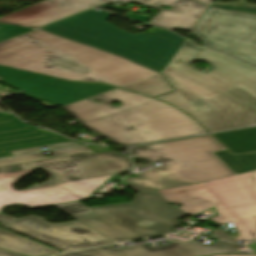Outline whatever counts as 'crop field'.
Wrapping results in <instances>:
<instances>
[{"instance_id":"obj_1","label":"crop field","mask_w":256,"mask_h":256,"mask_svg":"<svg viewBox=\"0 0 256 256\" xmlns=\"http://www.w3.org/2000/svg\"><path fill=\"white\" fill-rule=\"evenodd\" d=\"M0 65L118 87L159 74L40 30L0 42Z\"/></svg>"},{"instance_id":"obj_2","label":"crop field","mask_w":256,"mask_h":256,"mask_svg":"<svg viewBox=\"0 0 256 256\" xmlns=\"http://www.w3.org/2000/svg\"><path fill=\"white\" fill-rule=\"evenodd\" d=\"M113 101L120 106L113 107ZM63 108L83 127L122 146L206 133L179 110L119 89Z\"/></svg>"},{"instance_id":"obj_3","label":"crop field","mask_w":256,"mask_h":256,"mask_svg":"<svg viewBox=\"0 0 256 256\" xmlns=\"http://www.w3.org/2000/svg\"><path fill=\"white\" fill-rule=\"evenodd\" d=\"M39 167L51 176L48 181L22 191L13 189L17 181ZM131 169L130 158L118 156L116 152L83 153L3 166L0 167V210L14 203L36 207L84 199L113 175Z\"/></svg>"},{"instance_id":"obj_4","label":"crop field","mask_w":256,"mask_h":256,"mask_svg":"<svg viewBox=\"0 0 256 256\" xmlns=\"http://www.w3.org/2000/svg\"><path fill=\"white\" fill-rule=\"evenodd\" d=\"M219 150L225 149L210 135L134 147V157L164 164L124 181L136 192H145L235 175L212 154Z\"/></svg>"},{"instance_id":"obj_5","label":"crop field","mask_w":256,"mask_h":256,"mask_svg":"<svg viewBox=\"0 0 256 256\" xmlns=\"http://www.w3.org/2000/svg\"><path fill=\"white\" fill-rule=\"evenodd\" d=\"M109 15L106 11L90 10L41 30L125 57L160 73L185 40L163 29L150 34H129L106 22Z\"/></svg>"},{"instance_id":"obj_6","label":"crop field","mask_w":256,"mask_h":256,"mask_svg":"<svg viewBox=\"0 0 256 256\" xmlns=\"http://www.w3.org/2000/svg\"><path fill=\"white\" fill-rule=\"evenodd\" d=\"M55 207L115 242L171 233L180 224L177 219L187 215L157 191L138 193L132 203L88 208L74 202Z\"/></svg>"},{"instance_id":"obj_7","label":"crop field","mask_w":256,"mask_h":256,"mask_svg":"<svg viewBox=\"0 0 256 256\" xmlns=\"http://www.w3.org/2000/svg\"><path fill=\"white\" fill-rule=\"evenodd\" d=\"M162 74L176 90L156 99L190 114L209 132L256 124V110L168 66Z\"/></svg>"},{"instance_id":"obj_8","label":"crop field","mask_w":256,"mask_h":256,"mask_svg":"<svg viewBox=\"0 0 256 256\" xmlns=\"http://www.w3.org/2000/svg\"><path fill=\"white\" fill-rule=\"evenodd\" d=\"M209 67L200 72L191 64ZM168 66L256 109V67L185 40Z\"/></svg>"},{"instance_id":"obj_9","label":"crop field","mask_w":256,"mask_h":256,"mask_svg":"<svg viewBox=\"0 0 256 256\" xmlns=\"http://www.w3.org/2000/svg\"><path fill=\"white\" fill-rule=\"evenodd\" d=\"M204 44L256 65V16L208 8L191 32Z\"/></svg>"},{"instance_id":"obj_10","label":"crop field","mask_w":256,"mask_h":256,"mask_svg":"<svg viewBox=\"0 0 256 256\" xmlns=\"http://www.w3.org/2000/svg\"><path fill=\"white\" fill-rule=\"evenodd\" d=\"M0 223V226L5 229L61 251L113 243L77 221L50 224L35 215L17 219L0 214Z\"/></svg>"},{"instance_id":"obj_11","label":"crop field","mask_w":256,"mask_h":256,"mask_svg":"<svg viewBox=\"0 0 256 256\" xmlns=\"http://www.w3.org/2000/svg\"><path fill=\"white\" fill-rule=\"evenodd\" d=\"M117 245V244H115ZM114 245L68 253L58 256H205L214 253H238L232 242L214 241L210 245L195 241L184 243L174 240L167 246H149L142 244L120 250L112 249Z\"/></svg>"},{"instance_id":"obj_12","label":"crop field","mask_w":256,"mask_h":256,"mask_svg":"<svg viewBox=\"0 0 256 256\" xmlns=\"http://www.w3.org/2000/svg\"><path fill=\"white\" fill-rule=\"evenodd\" d=\"M99 4L89 0H46L0 18V22L39 28Z\"/></svg>"},{"instance_id":"obj_13","label":"crop field","mask_w":256,"mask_h":256,"mask_svg":"<svg viewBox=\"0 0 256 256\" xmlns=\"http://www.w3.org/2000/svg\"><path fill=\"white\" fill-rule=\"evenodd\" d=\"M203 185L217 211L256 204V171Z\"/></svg>"},{"instance_id":"obj_14","label":"crop field","mask_w":256,"mask_h":256,"mask_svg":"<svg viewBox=\"0 0 256 256\" xmlns=\"http://www.w3.org/2000/svg\"><path fill=\"white\" fill-rule=\"evenodd\" d=\"M144 6L159 8L161 5H170L171 10L162 9L148 24L160 26L170 31L182 29L192 31L204 14L207 6L191 0H130ZM209 8V7H208Z\"/></svg>"},{"instance_id":"obj_15","label":"crop field","mask_w":256,"mask_h":256,"mask_svg":"<svg viewBox=\"0 0 256 256\" xmlns=\"http://www.w3.org/2000/svg\"><path fill=\"white\" fill-rule=\"evenodd\" d=\"M158 192L168 203L177 202L183 205L177 208L191 216L213 207L207 192L201 184L159 190Z\"/></svg>"},{"instance_id":"obj_16","label":"crop field","mask_w":256,"mask_h":256,"mask_svg":"<svg viewBox=\"0 0 256 256\" xmlns=\"http://www.w3.org/2000/svg\"><path fill=\"white\" fill-rule=\"evenodd\" d=\"M218 216L210 219L217 224L231 222L239 237L236 240L256 239V205L218 212Z\"/></svg>"},{"instance_id":"obj_17","label":"crop field","mask_w":256,"mask_h":256,"mask_svg":"<svg viewBox=\"0 0 256 256\" xmlns=\"http://www.w3.org/2000/svg\"><path fill=\"white\" fill-rule=\"evenodd\" d=\"M0 248L26 256H41L50 253H60L54 249L28 240L20 235L0 228Z\"/></svg>"},{"instance_id":"obj_18","label":"crop field","mask_w":256,"mask_h":256,"mask_svg":"<svg viewBox=\"0 0 256 256\" xmlns=\"http://www.w3.org/2000/svg\"><path fill=\"white\" fill-rule=\"evenodd\" d=\"M212 135L234 154L256 151V127Z\"/></svg>"},{"instance_id":"obj_19","label":"crop field","mask_w":256,"mask_h":256,"mask_svg":"<svg viewBox=\"0 0 256 256\" xmlns=\"http://www.w3.org/2000/svg\"><path fill=\"white\" fill-rule=\"evenodd\" d=\"M236 174L256 170V153L233 156L228 150L214 152Z\"/></svg>"},{"instance_id":"obj_20","label":"crop field","mask_w":256,"mask_h":256,"mask_svg":"<svg viewBox=\"0 0 256 256\" xmlns=\"http://www.w3.org/2000/svg\"><path fill=\"white\" fill-rule=\"evenodd\" d=\"M121 88L137 91L151 97L173 90L160 75Z\"/></svg>"},{"instance_id":"obj_21","label":"crop field","mask_w":256,"mask_h":256,"mask_svg":"<svg viewBox=\"0 0 256 256\" xmlns=\"http://www.w3.org/2000/svg\"><path fill=\"white\" fill-rule=\"evenodd\" d=\"M83 152L93 153L89 149H87L85 146H82V147L70 148L65 150L53 151L51 157H47V158H53V157H59V156H65V155H71V154H77V153H83ZM40 159H46V158L41 153L12 157V158H5V159H0V166L20 163V162L33 161V160H40Z\"/></svg>"},{"instance_id":"obj_22","label":"crop field","mask_w":256,"mask_h":256,"mask_svg":"<svg viewBox=\"0 0 256 256\" xmlns=\"http://www.w3.org/2000/svg\"><path fill=\"white\" fill-rule=\"evenodd\" d=\"M211 6L227 9V10L256 13V5L247 4L243 0H239V3H236V2H227V3H220V4L212 3Z\"/></svg>"},{"instance_id":"obj_23","label":"crop field","mask_w":256,"mask_h":256,"mask_svg":"<svg viewBox=\"0 0 256 256\" xmlns=\"http://www.w3.org/2000/svg\"><path fill=\"white\" fill-rule=\"evenodd\" d=\"M31 30L33 29L0 24V41L31 31Z\"/></svg>"},{"instance_id":"obj_24","label":"crop field","mask_w":256,"mask_h":256,"mask_svg":"<svg viewBox=\"0 0 256 256\" xmlns=\"http://www.w3.org/2000/svg\"><path fill=\"white\" fill-rule=\"evenodd\" d=\"M73 146H79V144H76L74 142H69V143H63V144H56V145H49V146L13 151L12 153H13V155L27 154V153L39 152V151H41L40 148H44V147H48L50 150H54V149L73 147Z\"/></svg>"},{"instance_id":"obj_25","label":"crop field","mask_w":256,"mask_h":256,"mask_svg":"<svg viewBox=\"0 0 256 256\" xmlns=\"http://www.w3.org/2000/svg\"><path fill=\"white\" fill-rule=\"evenodd\" d=\"M212 234L218 238L221 239H226V240H231V238L228 236L227 233L221 231V230H217V229H212L211 230Z\"/></svg>"},{"instance_id":"obj_26","label":"crop field","mask_w":256,"mask_h":256,"mask_svg":"<svg viewBox=\"0 0 256 256\" xmlns=\"http://www.w3.org/2000/svg\"><path fill=\"white\" fill-rule=\"evenodd\" d=\"M0 256H22V255H18V254H14V253H10V252L0 250Z\"/></svg>"},{"instance_id":"obj_27","label":"crop field","mask_w":256,"mask_h":256,"mask_svg":"<svg viewBox=\"0 0 256 256\" xmlns=\"http://www.w3.org/2000/svg\"><path fill=\"white\" fill-rule=\"evenodd\" d=\"M213 256H256V255H213Z\"/></svg>"},{"instance_id":"obj_28","label":"crop field","mask_w":256,"mask_h":256,"mask_svg":"<svg viewBox=\"0 0 256 256\" xmlns=\"http://www.w3.org/2000/svg\"><path fill=\"white\" fill-rule=\"evenodd\" d=\"M197 1H200V2H203V3H206L208 5L211 4V0H197Z\"/></svg>"},{"instance_id":"obj_29","label":"crop field","mask_w":256,"mask_h":256,"mask_svg":"<svg viewBox=\"0 0 256 256\" xmlns=\"http://www.w3.org/2000/svg\"><path fill=\"white\" fill-rule=\"evenodd\" d=\"M92 1L97 2L99 4H103V3H105L108 0H92Z\"/></svg>"},{"instance_id":"obj_30","label":"crop field","mask_w":256,"mask_h":256,"mask_svg":"<svg viewBox=\"0 0 256 256\" xmlns=\"http://www.w3.org/2000/svg\"><path fill=\"white\" fill-rule=\"evenodd\" d=\"M137 168L143 167L142 164L136 165Z\"/></svg>"},{"instance_id":"obj_31","label":"crop field","mask_w":256,"mask_h":256,"mask_svg":"<svg viewBox=\"0 0 256 256\" xmlns=\"http://www.w3.org/2000/svg\"><path fill=\"white\" fill-rule=\"evenodd\" d=\"M0 111H3V112H5V111H4L3 109H1V108H0Z\"/></svg>"}]
</instances>
